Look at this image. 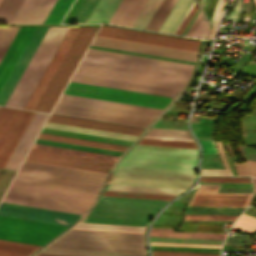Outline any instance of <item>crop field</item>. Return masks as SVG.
<instances>
[{
	"mask_svg": "<svg viewBox=\"0 0 256 256\" xmlns=\"http://www.w3.org/2000/svg\"><path fill=\"white\" fill-rule=\"evenodd\" d=\"M154 227L177 228V226L154 225Z\"/></svg>",
	"mask_w": 256,
	"mask_h": 256,
	"instance_id": "crop-field-75",
	"label": "crop field"
},
{
	"mask_svg": "<svg viewBox=\"0 0 256 256\" xmlns=\"http://www.w3.org/2000/svg\"><path fill=\"white\" fill-rule=\"evenodd\" d=\"M138 144L197 148L195 142L142 139Z\"/></svg>",
	"mask_w": 256,
	"mask_h": 256,
	"instance_id": "crop-field-47",
	"label": "crop field"
},
{
	"mask_svg": "<svg viewBox=\"0 0 256 256\" xmlns=\"http://www.w3.org/2000/svg\"><path fill=\"white\" fill-rule=\"evenodd\" d=\"M99 36L198 52L200 41L102 26Z\"/></svg>",
	"mask_w": 256,
	"mask_h": 256,
	"instance_id": "crop-field-13",
	"label": "crop field"
},
{
	"mask_svg": "<svg viewBox=\"0 0 256 256\" xmlns=\"http://www.w3.org/2000/svg\"><path fill=\"white\" fill-rule=\"evenodd\" d=\"M79 29L80 27H70L68 33L66 34L64 40L62 41L48 68L43 74L41 80L39 81L25 108L34 110L36 104L38 103L40 97L42 96L44 90L46 89L48 83L50 82L52 76L54 75L56 69L58 68L60 62L62 61L64 55L66 54Z\"/></svg>",
	"mask_w": 256,
	"mask_h": 256,
	"instance_id": "crop-field-19",
	"label": "crop field"
},
{
	"mask_svg": "<svg viewBox=\"0 0 256 256\" xmlns=\"http://www.w3.org/2000/svg\"><path fill=\"white\" fill-rule=\"evenodd\" d=\"M76 226L96 227V228H110V229H124V230H138V231H144V229H145V227H138V226L105 225V224H89V223H79Z\"/></svg>",
	"mask_w": 256,
	"mask_h": 256,
	"instance_id": "crop-field-51",
	"label": "crop field"
},
{
	"mask_svg": "<svg viewBox=\"0 0 256 256\" xmlns=\"http://www.w3.org/2000/svg\"><path fill=\"white\" fill-rule=\"evenodd\" d=\"M176 0H163L146 29L158 31Z\"/></svg>",
	"mask_w": 256,
	"mask_h": 256,
	"instance_id": "crop-field-39",
	"label": "crop field"
},
{
	"mask_svg": "<svg viewBox=\"0 0 256 256\" xmlns=\"http://www.w3.org/2000/svg\"><path fill=\"white\" fill-rule=\"evenodd\" d=\"M253 181H254V189H255V192H256V178H253Z\"/></svg>",
	"mask_w": 256,
	"mask_h": 256,
	"instance_id": "crop-field-76",
	"label": "crop field"
},
{
	"mask_svg": "<svg viewBox=\"0 0 256 256\" xmlns=\"http://www.w3.org/2000/svg\"><path fill=\"white\" fill-rule=\"evenodd\" d=\"M65 226L0 216V239L43 245Z\"/></svg>",
	"mask_w": 256,
	"mask_h": 256,
	"instance_id": "crop-field-9",
	"label": "crop field"
},
{
	"mask_svg": "<svg viewBox=\"0 0 256 256\" xmlns=\"http://www.w3.org/2000/svg\"><path fill=\"white\" fill-rule=\"evenodd\" d=\"M201 20H202V17H201V14L199 12L198 16L196 17V19L194 20L193 24L191 25V27L189 28L188 32L186 33V36H191V34L194 32V30L196 29L198 24L201 22Z\"/></svg>",
	"mask_w": 256,
	"mask_h": 256,
	"instance_id": "crop-field-62",
	"label": "crop field"
},
{
	"mask_svg": "<svg viewBox=\"0 0 256 256\" xmlns=\"http://www.w3.org/2000/svg\"><path fill=\"white\" fill-rule=\"evenodd\" d=\"M148 0H100L87 23L104 22L132 27Z\"/></svg>",
	"mask_w": 256,
	"mask_h": 256,
	"instance_id": "crop-field-12",
	"label": "crop field"
},
{
	"mask_svg": "<svg viewBox=\"0 0 256 256\" xmlns=\"http://www.w3.org/2000/svg\"><path fill=\"white\" fill-rule=\"evenodd\" d=\"M215 31H216V29L213 28L212 34H211V37H210V38H213V35H214Z\"/></svg>",
	"mask_w": 256,
	"mask_h": 256,
	"instance_id": "crop-field-77",
	"label": "crop field"
},
{
	"mask_svg": "<svg viewBox=\"0 0 256 256\" xmlns=\"http://www.w3.org/2000/svg\"><path fill=\"white\" fill-rule=\"evenodd\" d=\"M0 215L69 226L79 215L1 203Z\"/></svg>",
	"mask_w": 256,
	"mask_h": 256,
	"instance_id": "crop-field-16",
	"label": "crop field"
},
{
	"mask_svg": "<svg viewBox=\"0 0 256 256\" xmlns=\"http://www.w3.org/2000/svg\"><path fill=\"white\" fill-rule=\"evenodd\" d=\"M61 98L102 104V105L116 106V107H122V108H129V109H135V110L149 111V112H155V113H159L161 111L159 109L134 106V105H128V104H122V103H116V102H109V101H103V100H97V99H91V98H84V97H78V96H72V95H66V94H62Z\"/></svg>",
	"mask_w": 256,
	"mask_h": 256,
	"instance_id": "crop-field-37",
	"label": "crop field"
},
{
	"mask_svg": "<svg viewBox=\"0 0 256 256\" xmlns=\"http://www.w3.org/2000/svg\"><path fill=\"white\" fill-rule=\"evenodd\" d=\"M11 187L95 200V196H93V195H87V194H81V193H75V192L45 188V187H39V186H33V185H27V184L15 183V182L12 183Z\"/></svg>",
	"mask_w": 256,
	"mask_h": 256,
	"instance_id": "crop-field-36",
	"label": "crop field"
},
{
	"mask_svg": "<svg viewBox=\"0 0 256 256\" xmlns=\"http://www.w3.org/2000/svg\"><path fill=\"white\" fill-rule=\"evenodd\" d=\"M192 182L115 176L110 184L187 189Z\"/></svg>",
	"mask_w": 256,
	"mask_h": 256,
	"instance_id": "crop-field-28",
	"label": "crop field"
},
{
	"mask_svg": "<svg viewBox=\"0 0 256 256\" xmlns=\"http://www.w3.org/2000/svg\"><path fill=\"white\" fill-rule=\"evenodd\" d=\"M200 141H208V142H213V140H200Z\"/></svg>",
	"mask_w": 256,
	"mask_h": 256,
	"instance_id": "crop-field-78",
	"label": "crop field"
},
{
	"mask_svg": "<svg viewBox=\"0 0 256 256\" xmlns=\"http://www.w3.org/2000/svg\"><path fill=\"white\" fill-rule=\"evenodd\" d=\"M99 0H85L72 23H86Z\"/></svg>",
	"mask_w": 256,
	"mask_h": 256,
	"instance_id": "crop-field-46",
	"label": "crop field"
},
{
	"mask_svg": "<svg viewBox=\"0 0 256 256\" xmlns=\"http://www.w3.org/2000/svg\"><path fill=\"white\" fill-rule=\"evenodd\" d=\"M217 0H206L204 9L209 17V19L211 20L215 5H216Z\"/></svg>",
	"mask_w": 256,
	"mask_h": 256,
	"instance_id": "crop-field-59",
	"label": "crop field"
},
{
	"mask_svg": "<svg viewBox=\"0 0 256 256\" xmlns=\"http://www.w3.org/2000/svg\"><path fill=\"white\" fill-rule=\"evenodd\" d=\"M202 5L204 6L205 0H201Z\"/></svg>",
	"mask_w": 256,
	"mask_h": 256,
	"instance_id": "crop-field-79",
	"label": "crop field"
},
{
	"mask_svg": "<svg viewBox=\"0 0 256 256\" xmlns=\"http://www.w3.org/2000/svg\"><path fill=\"white\" fill-rule=\"evenodd\" d=\"M226 158H227V160H228V162H229V165H230V167H231V170H232L233 174H234V175H237L236 172H235V169H234V167H233V165H232V162H231V160H230V158H229V156H226Z\"/></svg>",
	"mask_w": 256,
	"mask_h": 256,
	"instance_id": "crop-field-73",
	"label": "crop field"
},
{
	"mask_svg": "<svg viewBox=\"0 0 256 256\" xmlns=\"http://www.w3.org/2000/svg\"><path fill=\"white\" fill-rule=\"evenodd\" d=\"M106 190L179 195L185 190L108 185Z\"/></svg>",
	"mask_w": 256,
	"mask_h": 256,
	"instance_id": "crop-field-35",
	"label": "crop field"
},
{
	"mask_svg": "<svg viewBox=\"0 0 256 256\" xmlns=\"http://www.w3.org/2000/svg\"><path fill=\"white\" fill-rule=\"evenodd\" d=\"M49 246L146 253L143 234L72 229Z\"/></svg>",
	"mask_w": 256,
	"mask_h": 256,
	"instance_id": "crop-field-5",
	"label": "crop field"
},
{
	"mask_svg": "<svg viewBox=\"0 0 256 256\" xmlns=\"http://www.w3.org/2000/svg\"><path fill=\"white\" fill-rule=\"evenodd\" d=\"M252 171V175L256 176V162H248Z\"/></svg>",
	"mask_w": 256,
	"mask_h": 256,
	"instance_id": "crop-field-69",
	"label": "crop field"
},
{
	"mask_svg": "<svg viewBox=\"0 0 256 256\" xmlns=\"http://www.w3.org/2000/svg\"><path fill=\"white\" fill-rule=\"evenodd\" d=\"M74 228L143 233V232H137V231H123V230H109V229H95V228H81V227H74Z\"/></svg>",
	"mask_w": 256,
	"mask_h": 256,
	"instance_id": "crop-field-70",
	"label": "crop field"
},
{
	"mask_svg": "<svg viewBox=\"0 0 256 256\" xmlns=\"http://www.w3.org/2000/svg\"><path fill=\"white\" fill-rule=\"evenodd\" d=\"M238 215H186L185 219L235 220Z\"/></svg>",
	"mask_w": 256,
	"mask_h": 256,
	"instance_id": "crop-field-52",
	"label": "crop field"
},
{
	"mask_svg": "<svg viewBox=\"0 0 256 256\" xmlns=\"http://www.w3.org/2000/svg\"><path fill=\"white\" fill-rule=\"evenodd\" d=\"M2 201L82 213L93 203L91 200L45 194L9 188Z\"/></svg>",
	"mask_w": 256,
	"mask_h": 256,
	"instance_id": "crop-field-10",
	"label": "crop field"
},
{
	"mask_svg": "<svg viewBox=\"0 0 256 256\" xmlns=\"http://www.w3.org/2000/svg\"><path fill=\"white\" fill-rule=\"evenodd\" d=\"M15 172L0 170V199L3 196Z\"/></svg>",
	"mask_w": 256,
	"mask_h": 256,
	"instance_id": "crop-field-53",
	"label": "crop field"
},
{
	"mask_svg": "<svg viewBox=\"0 0 256 256\" xmlns=\"http://www.w3.org/2000/svg\"><path fill=\"white\" fill-rule=\"evenodd\" d=\"M0 2H1V0H0Z\"/></svg>",
	"mask_w": 256,
	"mask_h": 256,
	"instance_id": "crop-field-80",
	"label": "crop field"
},
{
	"mask_svg": "<svg viewBox=\"0 0 256 256\" xmlns=\"http://www.w3.org/2000/svg\"><path fill=\"white\" fill-rule=\"evenodd\" d=\"M203 145L204 152L218 153L214 143L201 142Z\"/></svg>",
	"mask_w": 256,
	"mask_h": 256,
	"instance_id": "crop-field-63",
	"label": "crop field"
},
{
	"mask_svg": "<svg viewBox=\"0 0 256 256\" xmlns=\"http://www.w3.org/2000/svg\"><path fill=\"white\" fill-rule=\"evenodd\" d=\"M49 114L35 112L5 169L17 170Z\"/></svg>",
	"mask_w": 256,
	"mask_h": 256,
	"instance_id": "crop-field-22",
	"label": "crop field"
},
{
	"mask_svg": "<svg viewBox=\"0 0 256 256\" xmlns=\"http://www.w3.org/2000/svg\"><path fill=\"white\" fill-rule=\"evenodd\" d=\"M198 149L136 145L115 175L194 180Z\"/></svg>",
	"mask_w": 256,
	"mask_h": 256,
	"instance_id": "crop-field-2",
	"label": "crop field"
},
{
	"mask_svg": "<svg viewBox=\"0 0 256 256\" xmlns=\"http://www.w3.org/2000/svg\"><path fill=\"white\" fill-rule=\"evenodd\" d=\"M19 171L98 184L102 183L106 175L104 173L40 164L28 161H24Z\"/></svg>",
	"mask_w": 256,
	"mask_h": 256,
	"instance_id": "crop-field-17",
	"label": "crop field"
},
{
	"mask_svg": "<svg viewBox=\"0 0 256 256\" xmlns=\"http://www.w3.org/2000/svg\"><path fill=\"white\" fill-rule=\"evenodd\" d=\"M256 1V0H255Z\"/></svg>",
	"mask_w": 256,
	"mask_h": 256,
	"instance_id": "crop-field-81",
	"label": "crop field"
},
{
	"mask_svg": "<svg viewBox=\"0 0 256 256\" xmlns=\"http://www.w3.org/2000/svg\"><path fill=\"white\" fill-rule=\"evenodd\" d=\"M48 121L138 136L142 129L50 115Z\"/></svg>",
	"mask_w": 256,
	"mask_h": 256,
	"instance_id": "crop-field-27",
	"label": "crop field"
},
{
	"mask_svg": "<svg viewBox=\"0 0 256 256\" xmlns=\"http://www.w3.org/2000/svg\"><path fill=\"white\" fill-rule=\"evenodd\" d=\"M41 252L60 253V254H73V255H87V256H147L146 254H139V253L96 251V250L54 248V247H46Z\"/></svg>",
	"mask_w": 256,
	"mask_h": 256,
	"instance_id": "crop-field-30",
	"label": "crop field"
},
{
	"mask_svg": "<svg viewBox=\"0 0 256 256\" xmlns=\"http://www.w3.org/2000/svg\"><path fill=\"white\" fill-rule=\"evenodd\" d=\"M220 2H221V0H218L217 5H216V8H215V11H214V14H213V17H212V20H211V23H212V24H214V21H215V18H216L218 9H219Z\"/></svg>",
	"mask_w": 256,
	"mask_h": 256,
	"instance_id": "crop-field-67",
	"label": "crop field"
},
{
	"mask_svg": "<svg viewBox=\"0 0 256 256\" xmlns=\"http://www.w3.org/2000/svg\"><path fill=\"white\" fill-rule=\"evenodd\" d=\"M207 35V22L203 21L199 24L195 32L192 34L193 37L205 38Z\"/></svg>",
	"mask_w": 256,
	"mask_h": 256,
	"instance_id": "crop-field-58",
	"label": "crop field"
},
{
	"mask_svg": "<svg viewBox=\"0 0 256 256\" xmlns=\"http://www.w3.org/2000/svg\"><path fill=\"white\" fill-rule=\"evenodd\" d=\"M161 1L162 0H149L144 9L142 10L141 14L139 15L138 19L134 23L133 27L145 29L146 25L150 21Z\"/></svg>",
	"mask_w": 256,
	"mask_h": 256,
	"instance_id": "crop-field-40",
	"label": "crop field"
},
{
	"mask_svg": "<svg viewBox=\"0 0 256 256\" xmlns=\"http://www.w3.org/2000/svg\"><path fill=\"white\" fill-rule=\"evenodd\" d=\"M23 0H2L0 3V23H10Z\"/></svg>",
	"mask_w": 256,
	"mask_h": 256,
	"instance_id": "crop-field-41",
	"label": "crop field"
},
{
	"mask_svg": "<svg viewBox=\"0 0 256 256\" xmlns=\"http://www.w3.org/2000/svg\"><path fill=\"white\" fill-rule=\"evenodd\" d=\"M83 2L84 0H76V2L74 3V5L72 6V8L68 12L67 16L65 17L62 23H71L72 19L76 15L77 11L79 10Z\"/></svg>",
	"mask_w": 256,
	"mask_h": 256,
	"instance_id": "crop-field-56",
	"label": "crop field"
},
{
	"mask_svg": "<svg viewBox=\"0 0 256 256\" xmlns=\"http://www.w3.org/2000/svg\"><path fill=\"white\" fill-rule=\"evenodd\" d=\"M146 135L192 139L188 130L152 128Z\"/></svg>",
	"mask_w": 256,
	"mask_h": 256,
	"instance_id": "crop-field-44",
	"label": "crop field"
},
{
	"mask_svg": "<svg viewBox=\"0 0 256 256\" xmlns=\"http://www.w3.org/2000/svg\"><path fill=\"white\" fill-rule=\"evenodd\" d=\"M216 143H217V146L219 148V153H220V156H221V160H222L226 170L202 169L201 175H233L229 166H228V163H227V161L224 157V152H223L221 143L220 142H216Z\"/></svg>",
	"mask_w": 256,
	"mask_h": 256,
	"instance_id": "crop-field-50",
	"label": "crop field"
},
{
	"mask_svg": "<svg viewBox=\"0 0 256 256\" xmlns=\"http://www.w3.org/2000/svg\"><path fill=\"white\" fill-rule=\"evenodd\" d=\"M42 132L56 134V135L69 136V137H75V138H81V139L100 141V142L119 144V145H125V146H129L131 143L129 141L110 139V138H104V137H98V136H91V135H85V134H78V133H72V132H66V131H59V130H53V129H47V128H43Z\"/></svg>",
	"mask_w": 256,
	"mask_h": 256,
	"instance_id": "crop-field-38",
	"label": "crop field"
},
{
	"mask_svg": "<svg viewBox=\"0 0 256 256\" xmlns=\"http://www.w3.org/2000/svg\"><path fill=\"white\" fill-rule=\"evenodd\" d=\"M71 81L174 97L178 91L74 74Z\"/></svg>",
	"mask_w": 256,
	"mask_h": 256,
	"instance_id": "crop-field-23",
	"label": "crop field"
},
{
	"mask_svg": "<svg viewBox=\"0 0 256 256\" xmlns=\"http://www.w3.org/2000/svg\"><path fill=\"white\" fill-rule=\"evenodd\" d=\"M39 247V245L0 240V255L28 256Z\"/></svg>",
	"mask_w": 256,
	"mask_h": 256,
	"instance_id": "crop-field-31",
	"label": "crop field"
},
{
	"mask_svg": "<svg viewBox=\"0 0 256 256\" xmlns=\"http://www.w3.org/2000/svg\"><path fill=\"white\" fill-rule=\"evenodd\" d=\"M192 1L193 0H177L159 31L174 33Z\"/></svg>",
	"mask_w": 256,
	"mask_h": 256,
	"instance_id": "crop-field-29",
	"label": "crop field"
},
{
	"mask_svg": "<svg viewBox=\"0 0 256 256\" xmlns=\"http://www.w3.org/2000/svg\"><path fill=\"white\" fill-rule=\"evenodd\" d=\"M92 45L133 51V52H140V53H146V54H153V55H159V56L173 57V58H179V59H186V60H192V61L196 60V57L198 54L195 52H189V51H183V50H177V49H171V48H165V47L99 37V36L95 37Z\"/></svg>",
	"mask_w": 256,
	"mask_h": 256,
	"instance_id": "crop-field-15",
	"label": "crop field"
},
{
	"mask_svg": "<svg viewBox=\"0 0 256 256\" xmlns=\"http://www.w3.org/2000/svg\"><path fill=\"white\" fill-rule=\"evenodd\" d=\"M73 0H58L44 23H59Z\"/></svg>",
	"mask_w": 256,
	"mask_h": 256,
	"instance_id": "crop-field-42",
	"label": "crop field"
},
{
	"mask_svg": "<svg viewBox=\"0 0 256 256\" xmlns=\"http://www.w3.org/2000/svg\"><path fill=\"white\" fill-rule=\"evenodd\" d=\"M13 181L97 194L101 185L18 172Z\"/></svg>",
	"mask_w": 256,
	"mask_h": 256,
	"instance_id": "crop-field-21",
	"label": "crop field"
},
{
	"mask_svg": "<svg viewBox=\"0 0 256 256\" xmlns=\"http://www.w3.org/2000/svg\"><path fill=\"white\" fill-rule=\"evenodd\" d=\"M153 255H159V256H186V255H172V254H158V253H152Z\"/></svg>",
	"mask_w": 256,
	"mask_h": 256,
	"instance_id": "crop-field-74",
	"label": "crop field"
},
{
	"mask_svg": "<svg viewBox=\"0 0 256 256\" xmlns=\"http://www.w3.org/2000/svg\"><path fill=\"white\" fill-rule=\"evenodd\" d=\"M45 127L53 128V129H59V130L72 131V132H78V133H85V134H91V135L110 137V138H117V139L129 140V141H134L137 138L135 136H129V135L99 131V130H92V129H86V128H80V127L50 123V122H47Z\"/></svg>",
	"mask_w": 256,
	"mask_h": 256,
	"instance_id": "crop-field-32",
	"label": "crop field"
},
{
	"mask_svg": "<svg viewBox=\"0 0 256 256\" xmlns=\"http://www.w3.org/2000/svg\"><path fill=\"white\" fill-rule=\"evenodd\" d=\"M200 182H251L250 178L201 177Z\"/></svg>",
	"mask_w": 256,
	"mask_h": 256,
	"instance_id": "crop-field-54",
	"label": "crop field"
},
{
	"mask_svg": "<svg viewBox=\"0 0 256 256\" xmlns=\"http://www.w3.org/2000/svg\"><path fill=\"white\" fill-rule=\"evenodd\" d=\"M36 256H73V255H60V254H46V253H39Z\"/></svg>",
	"mask_w": 256,
	"mask_h": 256,
	"instance_id": "crop-field-72",
	"label": "crop field"
},
{
	"mask_svg": "<svg viewBox=\"0 0 256 256\" xmlns=\"http://www.w3.org/2000/svg\"><path fill=\"white\" fill-rule=\"evenodd\" d=\"M35 27H20L16 37L0 63V89L33 33Z\"/></svg>",
	"mask_w": 256,
	"mask_h": 256,
	"instance_id": "crop-field-25",
	"label": "crop field"
},
{
	"mask_svg": "<svg viewBox=\"0 0 256 256\" xmlns=\"http://www.w3.org/2000/svg\"><path fill=\"white\" fill-rule=\"evenodd\" d=\"M64 93L163 109L170 97L69 82Z\"/></svg>",
	"mask_w": 256,
	"mask_h": 256,
	"instance_id": "crop-field-8",
	"label": "crop field"
},
{
	"mask_svg": "<svg viewBox=\"0 0 256 256\" xmlns=\"http://www.w3.org/2000/svg\"><path fill=\"white\" fill-rule=\"evenodd\" d=\"M104 195L170 200L175 196L105 191Z\"/></svg>",
	"mask_w": 256,
	"mask_h": 256,
	"instance_id": "crop-field-49",
	"label": "crop field"
},
{
	"mask_svg": "<svg viewBox=\"0 0 256 256\" xmlns=\"http://www.w3.org/2000/svg\"><path fill=\"white\" fill-rule=\"evenodd\" d=\"M48 27H36L34 33L32 34L30 40L28 41L26 47L24 48L22 54L20 55L18 61L16 62L14 68L12 69L10 75L8 76L6 82L4 83L2 89L0 90V104L4 105L6 99L11 93L13 87L18 81L20 75L25 69L27 63L32 57L34 51L39 45L41 39L46 33Z\"/></svg>",
	"mask_w": 256,
	"mask_h": 256,
	"instance_id": "crop-field-18",
	"label": "crop field"
},
{
	"mask_svg": "<svg viewBox=\"0 0 256 256\" xmlns=\"http://www.w3.org/2000/svg\"><path fill=\"white\" fill-rule=\"evenodd\" d=\"M19 27H0V61Z\"/></svg>",
	"mask_w": 256,
	"mask_h": 256,
	"instance_id": "crop-field-43",
	"label": "crop field"
},
{
	"mask_svg": "<svg viewBox=\"0 0 256 256\" xmlns=\"http://www.w3.org/2000/svg\"><path fill=\"white\" fill-rule=\"evenodd\" d=\"M34 112L0 107V168L4 169Z\"/></svg>",
	"mask_w": 256,
	"mask_h": 256,
	"instance_id": "crop-field-11",
	"label": "crop field"
},
{
	"mask_svg": "<svg viewBox=\"0 0 256 256\" xmlns=\"http://www.w3.org/2000/svg\"><path fill=\"white\" fill-rule=\"evenodd\" d=\"M52 113L138 127H146L157 116V114L155 113L69 101L63 99H59Z\"/></svg>",
	"mask_w": 256,
	"mask_h": 256,
	"instance_id": "crop-field-6",
	"label": "crop field"
},
{
	"mask_svg": "<svg viewBox=\"0 0 256 256\" xmlns=\"http://www.w3.org/2000/svg\"><path fill=\"white\" fill-rule=\"evenodd\" d=\"M144 138L194 141V140H187V139H175V138L151 137V136H144Z\"/></svg>",
	"mask_w": 256,
	"mask_h": 256,
	"instance_id": "crop-field-68",
	"label": "crop field"
},
{
	"mask_svg": "<svg viewBox=\"0 0 256 256\" xmlns=\"http://www.w3.org/2000/svg\"><path fill=\"white\" fill-rule=\"evenodd\" d=\"M220 185L200 184L199 188H219Z\"/></svg>",
	"mask_w": 256,
	"mask_h": 256,
	"instance_id": "crop-field-71",
	"label": "crop field"
},
{
	"mask_svg": "<svg viewBox=\"0 0 256 256\" xmlns=\"http://www.w3.org/2000/svg\"><path fill=\"white\" fill-rule=\"evenodd\" d=\"M166 202L102 196L91 216L83 222L146 226Z\"/></svg>",
	"mask_w": 256,
	"mask_h": 256,
	"instance_id": "crop-field-3",
	"label": "crop field"
},
{
	"mask_svg": "<svg viewBox=\"0 0 256 256\" xmlns=\"http://www.w3.org/2000/svg\"><path fill=\"white\" fill-rule=\"evenodd\" d=\"M224 3H225V0H222L221 5H220V9H219V12H218V15H217L215 24H214L215 27H217V24H218V22H219L220 16H221V14H222L220 11H221V9H222Z\"/></svg>",
	"mask_w": 256,
	"mask_h": 256,
	"instance_id": "crop-field-66",
	"label": "crop field"
},
{
	"mask_svg": "<svg viewBox=\"0 0 256 256\" xmlns=\"http://www.w3.org/2000/svg\"><path fill=\"white\" fill-rule=\"evenodd\" d=\"M38 138L73 143V144L87 145V146H93V147L107 148V149H113V150H120V151H124L127 148L125 146L106 144V143H100V142H94V141H88V140H81V139H75V138H69V137H62V136H56V135H50V134H44V133H40Z\"/></svg>",
	"mask_w": 256,
	"mask_h": 256,
	"instance_id": "crop-field-33",
	"label": "crop field"
},
{
	"mask_svg": "<svg viewBox=\"0 0 256 256\" xmlns=\"http://www.w3.org/2000/svg\"><path fill=\"white\" fill-rule=\"evenodd\" d=\"M159 253H173V254H187V255H208V256H220L216 254H208V253H191V252H165V251H152Z\"/></svg>",
	"mask_w": 256,
	"mask_h": 256,
	"instance_id": "crop-field-64",
	"label": "crop field"
},
{
	"mask_svg": "<svg viewBox=\"0 0 256 256\" xmlns=\"http://www.w3.org/2000/svg\"><path fill=\"white\" fill-rule=\"evenodd\" d=\"M69 27H49L5 105L24 108Z\"/></svg>",
	"mask_w": 256,
	"mask_h": 256,
	"instance_id": "crop-field-4",
	"label": "crop field"
},
{
	"mask_svg": "<svg viewBox=\"0 0 256 256\" xmlns=\"http://www.w3.org/2000/svg\"><path fill=\"white\" fill-rule=\"evenodd\" d=\"M193 65L88 48L75 73L180 90Z\"/></svg>",
	"mask_w": 256,
	"mask_h": 256,
	"instance_id": "crop-field-1",
	"label": "crop field"
},
{
	"mask_svg": "<svg viewBox=\"0 0 256 256\" xmlns=\"http://www.w3.org/2000/svg\"><path fill=\"white\" fill-rule=\"evenodd\" d=\"M224 224L198 223L197 229H223ZM197 223H183L181 231L196 232ZM197 232H216L223 233V230H197Z\"/></svg>",
	"mask_w": 256,
	"mask_h": 256,
	"instance_id": "crop-field-45",
	"label": "crop field"
},
{
	"mask_svg": "<svg viewBox=\"0 0 256 256\" xmlns=\"http://www.w3.org/2000/svg\"><path fill=\"white\" fill-rule=\"evenodd\" d=\"M90 47H92V48H98V49H104V50H110V51H117V52L129 53V54H135V55H142V56L154 57V58H160V59H166V60H173V61L191 63V64H194V63H195V62H192V61L179 60V59H173V58L159 57V56L146 55V54L133 53V52H127V51H120V50H113V49H107V48H100V47H94V46H90Z\"/></svg>",
	"mask_w": 256,
	"mask_h": 256,
	"instance_id": "crop-field-57",
	"label": "crop field"
},
{
	"mask_svg": "<svg viewBox=\"0 0 256 256\" xmlns=\"http://www.w3.org/2000/svg\"><path fill=\"white\" fill-rule=\"evenodd\" d=\"M241 3H242V0H236V4H235L233 10L229 13L227 19L237 20Z\"/></svg>",
	"mask_w": 256,
	"mask_h": 256,
	"instance_id": "crop-field-61",
	"label": "crop field"
},
{
	"mask_svg": "<svg viewBox=\"0 0 256 256\" xmlns=\"http://www.w3.org/2000/svg\"><path fill=\"white\" fill-rule=\"evenodd\" d=\"M195 2L192 3V5L190 6L189 10L187 11L186 15L184 16V18L182 19L181 23L179 24L178 28L175 31V34L177 32V30L179 29V27L181 26L182 22L184 21V19L186 18L187 14L189 13V11L191 10L192 6L194 5ZM197 5L195 3L194 7L192 8V10L190 11L189 15L187 16V18L185 19L184 23L182 24V26L180 27L179 31L177 32V34H180L183 32L184 28L186 27V25L188 24V22L190 21V19L192 18L193 14L195 13V11L197 10Z\"/></svg>",
	"mask_w": 256,
	"mask_h": 256,
	"instance_id": "crop-field-55",
	"label": "crop field"
},
{
	"mask_svg": "<svg viewBox=\"0 0 256 256\" xmlns=\"http://www.w3.org/2000/svg\"><path fill=\"white\" fill-rule=\"evenodd\" d=\"M56 0H24L11 23H43Z\"/></svg>",
	"mask_w": 256,
	"mask_h": 256,
	"instance_id": "crop-field-24",
	"label": "crop field"
},
{
	"mask_svg": "<svg viewBox=\"0 0 256 256\" xmlns=\"http://www.w3.org/2000/svg\"><path fill=\"white\" fill-rule=\"evenodd\" d=\"M159 245H175V246H192V247H221V246H211V245H188V244H162V243H151Z\"/></svg>",
	"mask_w": 256,
	"mask_h": 256,
	"instance_id": "crop-field-65",
	"label": "crop field"
},
{
	"mask_svg": "<svg viewBox=\"0 0 256 256\" xmlns=\"http://www.w3.org/2000/svg\"><path fill=\"white\" fill-rule=\"evenodd\" d=\"M197 189L189 205L247 206L253 193H216Z\"/></svg>",
	"mask_w": 256,
	"mask_h": 256,
	"instance_id": "crop-field-20",
	"label": "crop field"
},
{
	"mask_svg": "<svg viewBox=\"0 0 256 256\" xmlns=\"http://www.w3.org/2000/svg\"><path fill=\"white\" fill-rule=\"evenodd\" d=\"M26 160L107 173L114 162L31 148Z\"/></svg>",
	"mask_w": 256,
	"mask_h": 256,
	"instance_id": "crop-field-14",
	"label": "crop field"
},
{
	"mask_svg": "<svg viewBox=\"0 0 256 256\" xmlns=\"http://www.w3.org/2000/svg\"><path fill=\"white\" fill-rule=\"evenodd\" d=\"M36 142L50 144V145H56V146H62V147H68V148H74V149H80V150H86V151H92V152H98V153H104V154H110V155H116V156H120L122 153L120 151H113V150H107V149L93 148V147L53 142V141L40 140V139H37ZM38 143H34L33 147L47 149V150H53V151H59V152H65V153H71V154H77V155H83V156H89V157H95V158H101V159H107V160H113V161H115L118 158L116 156H110V155H104V154H98V153L50 146V145H44V144H38Z\"/></svg>",
	"mask_w": 256,
	"mask_h": 256,
	"instance_id": "crop-field-26",
	"label": "crop field"
},
{
	"mask_svg": "<svg viewBox=\"0 0 256 256\" xmlns=\"http://www.w3.org/2000/svg\"><path fill=\"white\" fill-rule=\"evenodd\" d=\"M98 27H81L39 103L36 111L51 112Z\"/></svg>",
	"mask_w": 256,
	"mask_h": 256,
	"instance_id": "crop-field-7",
	"label": "crop field"
},
{
	"mask_svg": "<svg viewBox=\"0 0 256 256\" xmlns=\"http://www.w3.org/2000/svg\"><path fill=\"white\" fill-rule=\"evenodd\" d=\"M233 228L254 233V231L256 230V219L242 214L241 217L234 224Z\"/></svg>",
	"mask_w": 256,
	"mask_h": 256,
	"instance_id": "crop-field-48",
	"label": "crop field"
},
{
	"mask_svg": "<svg viewBox=\"0 0 256 256\" xmlns=\"http://www.w3.org/2000/svg\"><path fill=\"white\" fill-rule=\"evenodd\" d=\"M151 236L224 239L226 234L172 232V229L152 228Z\"/></svg>",
	"mask_w": 256,
	"mask_h": 256,
	"instance_id": "crop-field-34",
	"label": "crop field"
},
{
	"mask_svg": "<svg viewBox=\"0 0 256 256\" xmlns=\"http://www.w3.org/2000/svg\"><path fill=\"white\" fill-rule=\"evenodd\" d=\"M238 175H250L247 163L234 164Z\"/></svg>",
	"mask_w": 256,
	"mask_h": 256,
	"instance_id": "crop-field-60",
	"label": "crop field"
}]
</instances>
